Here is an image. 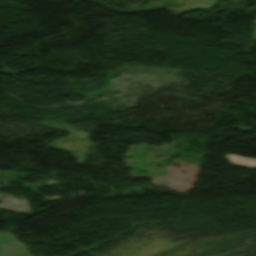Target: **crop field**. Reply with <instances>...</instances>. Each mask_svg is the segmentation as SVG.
Returning a JSON list of instances; mask_svg holds the SVG:
<instances>
[{
	"mask_svg": "<svg viewBox=\"0 0 256 256\" xmlns=\"http://www.w3.org/2000/svg\"><path fill=\"white\" fill-rule=\"evenodd\" d=\"M0 256H29L15 236L0 235Z\"/></svg>",
	"mask_w": 256,
	"mask_h": 256,
	"instance_id": "1",
	"label": "crop field"
},
{
	"mask_svg": "<svg viewBox=\"0 0 256 256\" xmlns=\"http://www.w3.org/2000/svg\"><path fill=\"white\" fill-rule=\"evenodd\" d=\"M226 159L230 160L232 164L244 166V167H250V168H256V160L237 156V155H227Z\"/></svg>",
	"mask_w": 256,
	"mask_h": 256,
	"instance_id": "2",
	"label": "crop field"
}]
</instances>
